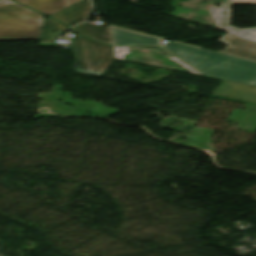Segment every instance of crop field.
I'll return each mask as SVG.
<instances>
[{
  "label": "crop field",
  "instance_id": "crop-field-3",
  "mask_svg": "<svg viewBox=\"0 0 256 256\" xmlns=\"http://www.w3.org/2000/svg\"><path fill=\"white\" fill-rule=\"evenodd\" d=\"M73 44L80 64V67L74 69L73 72L101 76L113 60L110 46L80 35Z\"/></svg>",
  "mask_w": 256,
  "mask_h": 256
},
{
  "label": "crop field",
  "instance_id": "crop-field-7",
  "mask_svg": "<svg viewBox=\"0 0 256 256\" xmlns=\"http://www.w3.org/2000/svg\"><path fill=\"white\" fill-rule=\"evenodd\" d=\"M90 3L89 0H82L50 17H53L67 27H70L82 20H84L90 13Z\"/></svg>",
  "mask_w": 256,
  "mask_h": 256
},
{
  "label": "crop field",
  "instance_id": "crop-field-1",
  "mask_svg": "<svg viewBox=\"0 0 256 256\" xmlns=\"http://www.w3.org/2000/svg\"><path fill=\"white\" fill-rule=\"evenodd\" d=\"M205 75L256 84V62L177 42L163 44Z\"/></svg>",
  "mask_w": 256,
  "mask_h": 256
},
{
  "label": "crop field",
  "instance_id": "crop-field-5",
  "mask_svg": "<svg viewBox=\"0 0 256 256\" xmlns=\"http://www.w3.org/2000/svg\"><path fill=\"white\" fill-rule=\"evenodd\" d=\"M218 41L230 45L223 53L256 61V40L226 34Z\"/></svg>",
  "mask_w": 256,
  "mask_h": 256
},
{
  "label": "crop field",
  "instance_id": "crop-field-9",
  "mask_svg": "<svg viewBox=\"0 0 256 256\" xmlns=\"http://www.w3.org/2000/svg\"><path fill=\"white\" fill-rule=\"evenodd\" d=\"M112 29V34H113V40H114V46H119V45H130V44H158L160 45L159 39L142 35V34H137L117 28Z\"/></svg>",
  "mask_w": 256,
  "mask_h": 256
},
{
  "label": "crop field",
  "instance_id": "crop-field-11",
  "mask_svg": "<svg viewBox=\"0 0 256 256\" xmlns=\"http://www.w3.org/2000/svg\"><path fill=\"white\" fill-rule=\"evenodd\" d=\"M72 30L80 35L111 45L108 27H96L83 22L73 27Z\"/></svg>",
  "mask_w": 256,
  "mask_h": 256
},
{
  "label": "crop field",
  "instance_id": "crop-field-8",
  "mask_svg": "<svg viewBox=\"0 0 256 256\" xmlns=\"http://www.w3.org/2000/svg\"><path fill=\"white\" fill-rule=\"evenodd\" d=\"M47 16L79 0H14Z\"/></svg>",
  "mask_w": 256,
  "mask_h": 256
},
{
  "label": "crop field",
  "instance_id": "crop-field-4",
  "mask_svg": "<svg viewBox=\"0 0 256 256\" xmlns=\"http://www.w3.org/2000/svg\"><path fill=\"white\" fill-rule=\"evenodd\" d=\"M233 3L256 4V0H225L217 3L221 4L219 8L215 7L216 4L209 7V11L218 28L236 35L256 39V28L238 29L230 26V7ZM222 12H224V14H222Z\"/></svg>",
  "mask_w": 256,
  "mask_h": 256
},
{
  "label": "crop field",
  "instance_id": "crop-field-10",
  "mask_svg": "<svg viewBox=\"0 0 256 256\" xmlns=\"http://www.w3.org/2000/svg\"><path fill=\"white\" fill-rule=\"evenodd\" d=\"M140 49H155L161 54H163L164 56H166L167 58H169L170 60H172L173 62H175L176 64H178L179 66H181L182 68H184L185 70H187L188 72L194 73V74H200L199 72L191 68L189 65L181 61L179 58L171 54L169 51H167L163 47L140 46V47L114 48L116 58L123 59V60H125L124 55L129 53V50H140Z\"/></svg>",
  "mask_w": 256,
  "mask_h": 256
},
{
  "label": "crop field",
  "instance_id": "crop-field-12",
  "mask_svg": "<svg viewBox=\"0 0 256 256\" xmlns=\"http://www.w3.org/2000/svg\"><path fill=\"white\" fill-rule=\"evenodd\" d=\"M67 28L57 21L47 17L44 19L43 31L40 38L39 46H57L52 42L54 31L66 30Z\"/></svg>",
  "mask_w": 256,
  "mask_h": 256
},
{
  "label": "crop field",
  "instance_id": "crop-field-6",
  "mask_svg": "<svg viewBox=\"0 0 256 256\" xmlns=\"http://www.w3.org/2000/svg\"><path fill=\"white\" fill-rule=\"evenodd\" d=\"M214 95L256 103V87L223 80Z\"/></svg>",
  "mask_w": 256,
  "mask_h": 256
},
{
  "label": "crop field",
  "instance_id": "crop-field-2",
  "mask_svg": "<svg viewBox=\"0 0 256 256\" xmlns=\"http://www.w3.org/2000/svg\"><path fill=\"white\" fill-rule=\"evenodd\" d=\"M43 16L11 0L0 3V40L39 39Z\"/></svg>",
  "mask_w": 256,
  "mask_h": 256
}]
</instances>
